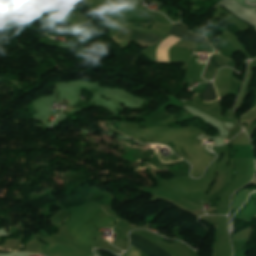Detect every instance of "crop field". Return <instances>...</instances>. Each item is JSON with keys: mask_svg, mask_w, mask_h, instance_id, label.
<instances>
[{"mask_svg": "<svg viewBox=\"0 0 256 256\" xmlns=\"http://www.w3.org/2000/svg\"><path fill=\"white\" fill-rule=\"evenodd\" d=\"M168 34L200 43H208L204 37L189 33L188 29L184 27L181 23L174 24Z\"/></svg>", "mask_w": 256, "mask_h": 256, "instance_id": "4", "label": "crop field"}, {"mask_svg": "<svg viewBox=\"0 0 256 256\" xmlns=\"http://www.w3.org/2000/svg\"><path fill=\"white\" fill-rule=\"evenodd\" d=\"M201 95L206 102H212L217 99L216 90L212 83H208L206 90Z\"/></svg>", "mask_w": 256, "mask_h": 256, "instance_id": "6", "label": "crop field"}, {"mask_svg": "<svg viewBox=\"0 0 256 256\" xmlns=\"http://www.w3.org/2000/svg\"><path fill=\"white\" fill-rule=\"evenodd\" d=\"M210 56H212V55H210ZM217 60L230 61L228 59H225V58L219 56L218 54L210 57L208 64L206 66V69L203 73V78H205L206 80L213 79L216 71L222 67L220 64L217 63Z\"/></svg>", "mask_w": 256, "mask_h": 256, "instance_id": "5", "label": "crop field"}, {"mask_svg": "<svg viewBox=\"0 0 256 256\" xmlns=\"http://www.w3.org/2000/svg\"><path fill=\"white\" fill-rule=\"evenodd\" d=\"M131 239V245L139 248L148 256H170L164 250L160 249L156 245L152 244L151 242L133 234L129 235Z\"/></svg>", "mask_w": 256, "mask_h": 256, "instance_id": "3", "label": "crop field"}, {"mask_svg": "<svg viewBox=\"0 0 256 256\" xmlns=\"http://www.w3.org/2000/svg\"><path fill=\"white\" fill-rule=\"evenodd\" d=\"M115 219L108 216L102 209L96 211L89 216L85 217L77 224L72 226L68 231L76 237L77 243L85 247L92 248L91 246V234L97 228L106 226L113 222Z\"/></svg>", "mask_w": 256, "mask_h": 256, "instance_id": "1", "label": "crop field"}, {"mask_svg": "<svg viewBox=\"0 0 256 256\" xmlns=\"http://www.w3.org/2000/svg\"><path fill=\"white\" fill-rule=\"evenodd\" d=\"M129 39H134L138 43L146 47V46L155 44L158 40L161 39V37H158L152 33L144 34V33L136 32L126 27H123L119 31V33L114 37V40L118 42L129 40Z\"/></svg>", "mask_w": 256, "mask_h": 256, "instance_id": "2", "label": "crop field"}]
</instances>
